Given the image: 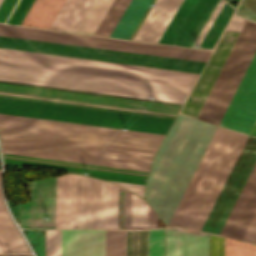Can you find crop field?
I'll use <instances>...</instances> for the list:
<instances>
[{
    "mask_svg": "<svg viewBox=\"0 0 256 256\" xmlns=\"http://www.w3.org/2000/svg\"><path fill=\"white\" fill-rule=\"evenodd\" d=\"M2 157L4 163L8 164L50 168L60 171H71L78 173L87 172V175L116 182L141 196H143L144 182L148 174L145 172L129 171L6 154H3Z\"/></svg>",
    "mask_w": 256,
    "mask_h": 256,
    "instance_id": "13",
    "label": "crop field"
},
{
    "mask_svg": "<svg viewBox=\"0 0 256 256\" xmlns=\"http://www.w3.org/2000/svg\"><path fill=\"white\" fill-rule=\"evenodd\" d=\"M210 256H224V237L210 234Z\"/></svg>",
    "mask_w": 256,
    "mask_h": 256,
    "instance_id": "35",
    "label": "crop field"
},
{
    "mask_svg": "<svg viewBox=\"0 0 256 256\" xmlns=\"http://www.w3.org/2000/svg\"><path fill=\"white\" fill-rule=\"evenodd\" d=\"M152 0H132L111 36L129 39Z\"/></svg>",
    "mask_w": 256,
    "mask_h": 256,
    "instance_id": "24",
    "label": "crop field"
},
{
    "mask_svg": "<svg viewBox=\"0 0 256 256\" xmlns=\"http://www.w3.org/2000/svg\"><path fill=\"white\" fill-rule=\"evenodd\" d=\"M195 2L196 0H183L182 4L180 5L170 24L166 28L159 42L171 44L172 40L174 39L175 35L177 34L178 30L180 29L181 25L183 24Z\"/></svg>",
    "mask_w": 256,
    "mask_h": 256,
    "instance_id": "30",
    "label": "crop field"
},
{
    "mask_svg": "<svg viewBox=\"0 0 256 256\" xmlns=\"http://www.w3.org/2000/svg\"><path fill=\"white\" fill-rule=\"evenodd\" d=\"M2 0H0V3H1Z\"/></svg>",
    "mask_w": 256,
    "mask_h": 256,
    "instance_id": "42",
    "label": "crop field"
},
{
    "mask_svg": "<svg viewBox=\"0 0 256 256\" xmlns=\"http://www.w3.org/2000/svg\"><path fill=\"white\" fill-rule=\"evenodd\" d=\"M118 228V186L77 175L76 228Z\"/></svg>",
    "mask_w": 256,
    "mask_h": 256,
    "instance_id": "9",
    "label": "crop field"
},
{
    "mask_svg": "<svg viewBox=\"0 0 256 256\" xmlns=\"http://www.w3.org/2000/svg\"><path fill=\"white\" fill-rule=\"evenodd\" d=\"M242 240L256 244V212H255Z\"/></svg>",
    "mask_w": 256,
    "mask_h": 256,
    "instance_id": "36",
    "label": "crop field"
},
{
    "mask_svg": "<svg viewBox=\"0 0 256 256\" xmlns=\"http://www.w3.org/2000/svg\"><path fill=\"white\" fill-rule=\"evenodd\" d=\"M0 96L174 119L182 104L0 81ZM0 97V113L165 134L171 119Z\"/></svg>",
    "mask_w": 256,
    "mask_h": 256,
    "instance_id": "2",
    "label": "crop field"
},
{
    "mask_svg": "<svg viewBox=\"0 0 256 256\" xmlns=\"http://www.w3.org/2000/svg\"><path fill=\"white\" fill-rule=\"evenodd\" d=\"M0 256H31V255H0Z\"/></svg>",
    "mask_w": 256,
    "mask_h": 256,
    "instance_id": "39",
    "label": "crop field"
},
{
    "mask_svg": "<svg viewBox=\"0 0 256 256\" xmlns=\"http://www.w3.org/2000/svg\"><path fill=\"white\" fill-rule=\"evenodd\" d=\"M165 256H208V237L178 230L165 231Z\"/></svg>",
    "mask_w": 256,
    "mask_h": 256,
    "instance_id": "20",
    "label": "crop field"
},
{
    "mask_svg": "<svg viewBox=\"0 0 256 256\" xmlns=\"http://www.w3.org/2000/svg\"><path fill=\"white\" fill-rule=\"evenodd\" d=\"M225 256H256V245L225 237Z\"/></svg>",
    "mask_w": 256,
    "mask_h": 256,
    "instance_id": "32",
    "label": "crop field"
},
{
    "mask_svg": "<svg viewBox=\"0 0 256 256\" xmlns=\"http://www.w3.org/2000/svg\"><path fill=\"white\" fill-rule=\"evenodd\" d=\"M250 135L256 136V122H255V124H254V126H253V128L250 132Z\"/></svg>",
    "mask_w": 256,
    "mask_h": 256,
    "instance_id": "38",
    "label": "crop field"
},
{
    "mask_svg": "<svg viewBox=\"0 0 256 256\" xmlns=\"http://www.w3.org/2000/svg\"><path fill=\"white\" fill-rule=\"evenodd\" d=\"M0 145L132 162L150 165L155 152L138 149L122 148L85 142L69 141L32 135L16 134L0 131ZM1 146L2 152L6 154L22 155L29 157L45 158L52 160L76 162L83 164L99 165L106 167L122 168L137 171H149L147 165L34 151Z\"/></svg>",
    "mask_w": 256,
    "mask_h": 256,
    "instance_id": "6",
    "label": "crop field"
},
{
    "mask_svg": "<svg viewBox=\"0 0 256 256\" xmlns=\"http://www.w3.org/2000/svg\"><path fill=\"white\" fill-rule=\"evenodd\" d=\"M244 22V19L233 16L181 113L197 118Z\"/></svg>",
    "mask_w": 256,
    "mask_h": 256,
    "instance_id": "12",
    "label": "crop field"
},
{
    "mask_svg": "<svg viewBox=\"0 0 256 256\" xmlns=\"http://www.w3.org/2000/svg\"><path fill=\"white\" fill-rule=\"evenodd\" d=\"M242 137H243V134L219 127L213 141L211 139L212 143L210 141L211 145L209 143L210 147L208 145L209 149L207 147L208 151L206 149L207 153L205 151L206 155L204 153L205 157L203 155L204 159L202 157L203 161L201 159L202 163L200 161L201 165L199 163L200 167L198 165L199 169L197 167L198 171L196 169L197 173L195 171L196 175L194 173L195 177L194 178L192 177L193 180L191 179L192 182L190 181L191 184L189 183L190 186L188 185L189 188L187 187L188 190L186 189L187 192L185 191L186 194L184 193L185 196L183 195L184 198L182 197L183 200L181 199L182 202L180 201L181 204L179 203L180 206L178 205L179 208L177 207L178 210L176 209L177 212L175 211L176 214L174 213L175 216L173 215L174 218L172 217L173 220L171 219L172 222L170 221L171 224L169 223L170 226L179 225V226L197 229ZM246 138L247 136L244 135L198 227L199 230H201Z\"/></svg>",
    "mask_w": 256,
    "mask_h": 256,
    "instance_id": "5",
    "label": "crop field"
},
{
    "mask_svg": "<svg viewBox=\"0 0 256 256\" xmlns=\"http://www.w3.org/2000/svg\"><path fill=\"white\" fill-rule=\"evenodd\" d=\"M235 14L256 21V0H241Z\"/></svg>",
    "mask_w": 256,
    "mask_h": 256,
    "instance_id": "34",
    "label": "crop field"
},
{
    "mask_svg": "<svg viewBox=\"0 0 256 256\" xmlns=\"http://www.w3.org/2000/svg\"><path fill=\"white\" fill-rule=\"evenodd\" d=\"M217 0H197L172 44L190 47Z\"/></svg>",
    "mask_w": 256,
    "mask_h": 256,
    "instance_id": "22",
    "label": "crop field"
},
{
    "mask_svg": "<svg viewBox=\"0 0 256 256\" xmlns=\"http://www.w3.org/2000/svg\"><path fill=\"white\" fill-rule=\"evenodd\" d=\"M0 35L206 62L211 52L0 25ZM0 36V48L200 73L204 63Z\"/></svg>",
    "mask_w": 256,
    "mask_h": 256,
    "instance_id": "3",
    "label": "crop field"
},
{
    "mask_svg": "<svg viewBox=\"0 0 256 256\" xmlns=\"http://www.w3.org/2000/svg\"><path fill=\"white\" fill-rule=\"evenodd\" d=\"M256 120V53L220 123L249 134Z\"/></svg>",
    "mask_w": 256,
    "mask_h": 256,
    "instance_id": "15",
    "label": "crop field"
},
{
    "mask_svg": "<svg viewBox=\"0 0 256 256\" xmlns=\"http://www.w3.org/2000/svg\"><path fill=\"white\" fill-rule=\"evenodd\" d=\"M76 175L56 177L54 228H75Z\"/></svg>",
    "mask_w": 256,
    "mask_h": 256,
    "instance_id": "18",
    "label": "crop field"
},
{
    "mask_svg": "<svg viewBox=\"0 0 256 256\" xmlns=\"http://www.w3.org/2000/svg\"><path fill=\"white\" fill-rule=\"evenodd\" d=\"M255 51L256 24L246 21L198 119L219 125Z\"/></svg>",
    "mask_w": 256,
    "mask_h": 256,
    "instance_id": "8",
    "label": "crop field"
},
{
    "mask_svg": "<svg viewBox=\"0 0 256 256\" xmlns=\"http://www.w3.org/2000/svg\"><path fill=\"white\" fill-rule=\"evenodd\" d=\"M225 2L229 5V6H231L233 9H235L232 5H230L226 0H225ZM224 2V3H225ZM225 3V5H224V7H223V5H222V10L220 11V13H219V15H218V13H217V18H216V20H215V18H214V23H213V25L211 26V28L209 29V31H208V33L206 34V36H205V38H204V36H203V41L201 42V44H200V46L199 47H205V48H212V46H213V44L215 43V41H216V39L218 38V36L220 35V33H221V31L223 30V28H224V26L226 25V23H227V21H228V19L230 18V16H231V14H232V12L234 11L231 7H229L227 4ZM211 23V24H212ZM220 37V36H219ZM218 40V39H217ZM217 42V41H216ZM216 44V43H215ZM215 44H214V46H215ZM214 46H213V48H214ZM213 48L212 49H210V50H213Z\"/></svg>",
    "mask_w": 256,
    "mask_h": 256,
    "instance_id": "28",
    "label": "crop field"
},
{
    "mask_svg": "<svg viewBox=\"0 0 256 256\" xmlns=\"http://www.w3.org/2000/svg\"><path fill=\"white\" fill-rule=\"evenodd\" d=\"M198 74L0 49V80L183 103Z\"/></svg>",
    "mask_w": 256,
    "mask_h": 256,
    "instance_id": "1",
    "label": "crop field"
},
{
    "mask_svg": "<svg viewBox=\"0 0 256 256\" xmlns=\"http://www.w3.org/2000/svg\"><path fill=\"white\" fill-rule=\"evenodd\" d=\"M105 256H125V230H105Z\"/></svg>",
    "mask_w": 256,
    "mask_h": 256,
    "instance_id": "31",
    "label": "crop field"
},
{
    "mask_svg": "<svg viewBox=\"0 0 256 256\" xmlns=\"http://www.w3.org/2000/svg\"><path fill=\"white\" fill-rule=\"evenodd\" d=\"M0 246L3 252H30L2 201L0 190Z\"/></svg>",
    "mask_w": 256,
    "mask_h": 256,
    "instance_id": "23",
    "label": "crop field"
},
{
    "mask_svg": "<svg viewBox=\"0 0 256 256\" xmlns=\"http://www.w3.org/2000/svg\"><path fill=\"white\" fill-rule=\"evenodd\" d=\"M45 256H104V230H46Z\"/></svg>",
    "mask_w": 256,
    "mask_h": 256,
    "instance_id": "14",
    "label": "crop field"
},
{
    "mask_svg": "<svg viewBox=\"0 0 256 256\" xmlns=\"http://www.w3.org/2000/svg\"><path fill=\"white\" fill-rule=\"evenodd\" d=\"M126 256H148V230H126Z\"/></svg>",
    "mask_w": 256,
    "mask_h": 256,
    "instance_id": "29",
    "label": "crop field"
},
{
    "mask_svg": "<svg viewBox=\"0 0 256 256\" xmlns=\"http://www.w3.org/2000/svg\"><path fill=\"white\" fill-rule=\"evenodd\" d=\"M158 227V215L141 197L126 190L125 228Z\"/></svg>",
    "mask_w": 256,
    "mask_h": 256,
    "instance_id": "21",
    "label": "crop field"
},
{
    "mask_svg": "<svg viewBox=\"0 0 256 256\" xmlns=\"http://www.w3.org/2000/svg\"><path fill=\"white\" fill-rule=\"evenodd\" d=\"M256 210V164L221 232L241 240Z\"/></svg>",
    "mask_w": 256,
    "mask_h": 256,
    "instance_id": "17",
    "label": "crop field"
},
{
    "mask_svg": "<svg viewBox=\"0 0 256 256\" xmlns=\"http://www.w3.org/2000/svg\"><path fill=\"white\" fill-rule=\"evenodd\" d=\"M34 0H3L0 4V22L20 25Z\"/></svg>",
    "mask_w": 256,
    "mask_h": 256,
    "instance_id": "25",
    "label": "crop field"
},
{
    "mask_svg": "<svg viewBox=\"0 0 256 256\" xmlns=\"http://www.w3.org/2000/svg\"><path fill=\"white\" fill-rule=\"evenodd\" d=\"M223 2L224 0H219L210 17L208 18L207 22L205 23L204 27L202 28L201 32L199 33L198 37L196 38L195 42L193 43L192 47H196L195 45H198L199 41L201 40L202 36L209 27L210 23L212 22L213 18L215 17Z\"/></svg>",
    "mask_w": 256,
    "mask_h": 256,
    "instance_id": "37",
    "label": "crop field"
},
{
    "mask_svg": "<svg viewBox=\"0 0 256 256\" xmlns=\"http://www.w3.org/2000/svg\"><path fill=\"white\" fill-rule=\"evenodd\" d=\"M54 189L55 177L31 182V202L18 205L21 228H53Z\"/></svg>",
    "mask_w": 256,
    "mask_h": 256,
    "instance_id": "16",
    "label": "crop field"
},
{
    "mask_svg": "<svg viewBox=\"0 0 256 256\" xmlns=\"http://www.w3.org/2000/svg\"><path fill=\"white\" fill-rule=\"evenodd\" d=\"M131 0H114L94 34L110 36Z\"/></svg>",
    "mask_w": 256,
    "mask_h": 256,
    "instance_id": "27",
    "label": "crop field"
},
{
    "mask_svg": "<svg viewBox=\"0 0 256 256\" xmlns=\"http://www.w3.org/2000/svg\"><path fill=\"white\" fill-rule=\"evenodd\" d=\"M5 120L53 125V126L90 130V131L112 133V134H120V135L148 137V138H153V140L148 139V138L120 136V135L104 134V133L67 129V128H60V127H53V126L10 122V121H6L4 124V126H6V127H14V128L28 129V130H36V131H43V132H51V133H58V134H65V135H73V136H80V137H88V138L118 141V142H127V143H136V144H145V145H149L152 140L150 146L102 141V140H95V139H88V138H80V137H73V136H65V135H58V134L2 127ZM0 130L16 132V133L39 135V136L54 137V138L69 139V140L85 141V142H92V143H100V144H107V145H115V146H122V147L153 150V151L157 150V147L163 137V135H161V134H153V133H145V132H137V131H129V130L121 131L119 129H111V128H104V127H96V126L58 122V121L43 120V119L28 118V117H20V116L5 115V114H0Z\"/></svg>",
    "mask_w": 256,
    "mask_h": 256,
    "instance_id": "7",
    "label": "crop field"
},
{
    "mask_svg": "<svg viewBox=\"0 0 256 256\" xmlns=\"http://www.w3.org/2000/svg\"><path fill=\"white\" fill-rule=\"evenodd\" d=\"M112 1L94 0L76 32L93 34Z\"/></svg>",
    "mask_w": 256,
    "mask_h": 256,
    "instance_id": "26",
    "label": "crop field"
},
{
    "mask_svg": "<svg viewBox=\"0 0 256 256\" xmlns=\"http://www.w3.org/2000/svg\"><path fill=\"white\" fill-rule=\"evenodd\" d=\"M256 138L247 139L225 185L223 186L202 230L220 234L254 164Z\"/></svg>",
    "mask_w": 256,
    "mask_h": 256,
    "instance_id": "10",
    "label": "crop field"
},
{
    "mask_svg": "<svg viewBox=\"0 0 256 256\" xmlns=\"http://www.w3.org/2000/svg\"><path fill=\"white\" fill-rule=\"evenodd\" d=\"M182 0H156L133 39L158 42Z\"/></svg>",
    "mask_w": 256,
    "mask_h": 256,
    "instance_id": "19",
    "label": "crop field"
},
{
    "mask_svg": "<svg viewBox=\"0 0 256 256\" xmlns=\"http://www.w3.org/2000/svg\"><path fill=\"white\" fill-rule=\"evenodd\" d=\"M64 0H35L21 25L48 28ZM93 0H65L49 28L75 32Z\"/></svg>",
    "mask_w": 256,
    "mask_h": 256,
    "instance_id": "11",
    "label": "crop field"
},
{
    "mask_svg": "<svg viewBox=\"0 0 256 256\" xmlns=\"http://www.w3.org/2000/svg\"><path fill=\"white\" fill-rule=\"evenodd\" d=\"M0 252H2L1 248H0Z\"/></svg>",
    "mask_w": 256,
    "mask_h": 256,
    "instance_id": "41",
    "label": "crop field"
},
{
    "mask_svg": "<svg viewBox=\"0 0 256 256\" xmlns=\"http://www.w3.org/2000/svg\"><path fill=\"white\" fill-rule=\"evenodd\" d=\"M234 1H235L236 3H238L237 1H239V0H237V1H236V0H234Z\"/></svg>",
    "mask_w": 256,
    "mask_h": 256,
    "instance_id": "40",
    "label": "crop field"
},
{
    "mask_svg": "<svg viewBox=\"0 0 256 256\" xmlns=\"http://www.w3.org/2000/svg\"><path fill=\"white\" fill-rule=\"evenodd\" d=\"M149 256H164V228L149 230Z\"/></svg>",
    "mask_w": 256,
    "mask_h": 256,
    "instance_id": "33",
    "label": "crop field"
},
{
    "mask_svg": "<svg viewBox=\"0 0 256 256\" xmlns=\"http://www.w3.org/2000/svg\"><path fill=\"white\" fill-rule=\"evenodd\" d=\"M216 126L179 114L161 144L146 199L168 225Z\"/></svg>",
    "mask_w": 256,
    "mask_h": 256,
    "instance_id": "4",
    "label": "crop field"
}]
</instances>
